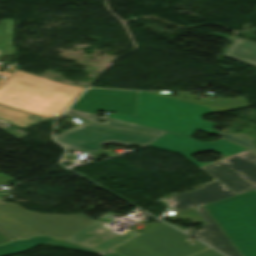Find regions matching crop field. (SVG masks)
<instances>
[{
    "mask_svg": "<svg viewBox=\"0 0 256 256\" xmlns=\"http://www.w3.org/2000/svg\"><path fill=\"white\" fill-rule=\"evenodd\" d=\"M101 256H121V255H119L118 253H116V252H114V251H112V250H110L109 252H107L106 254L105 253H102V254H100Z\"/></svg>",
    "mask_w": 256,
    "mask_h": 256,
    "instance_id": "20",
    "label": "crop field"
},
{
    "mask_svg": "<svg viewBox=\"0 0 256 256\" xmlns=\"http://www.w3.org/2000/svg\"><path fill=\"white\" fill-rule=\"evenodd\" d=\"M63 115L82 117V118L90 121L91 123H94L97 125L118 128V129L131 131V132L144 134V135L160 137L164 133H166L164 131H160V130H156V129H152V128H148V127H143V126H139V125H135V124H130V123H126V122H122V121H118V120H114V119H110V118H106V117L99 118L94 114L79 112V111H75V110H71V109H68ZM96 119H101V120L105 121V123L100 124V123L96 122Z\"/></svg>",
    "mask_w": 256,
    "mask_h": 256,
    "instance_id": "13",
    "label": "crop field"
},
{
    "mask_svg": "<svg viewBox=\"0 0 256 256\" xmlns=\"http://www.w3.org/2000/svg\"><path fill=\"white\" fill-rule=\"evenodd\" d=\"M205 207L243 256H256V190Z\"/></svg>",
    "mask_w": 256,
    "mask_h": 256,
    "instance_id": "4",
    "label": "crop field"
},
{
    "mask_svg": "<svg viewBox=\"0 0 256 256\" xmlns=\"http://www.w3.org/2000/svg\"><path fill=\"white\" fill-rule=\"evenodd\" d=\"M233 195L236 194L221 182L216 180L203 186L200 189L190 192H182L169 198L162 199V201L167 206L175 210L173 213H176Z\"/></svg>",
    "mask_w": 256,
    "mask_h": 256,
    "instance_id": "10",
    "label": "crop field"
},
{
    "mask_svg": "<svg viewBox=\"0 0 256 256\" xmlns=\"http://www.w3.org/2000/svg\"><path fill=\"white\" fill-rule=\"evenodd\" d=\"M203 169L237 194L256 189V156L249 151Z\"/></svg>",
    "mask_w": 256,
    "mask_h": 256,
    "instance_id": "7",
    "label": "crop field"
},
{
    "mask_svg": "<svg viewBox=\"0 0 256 256\" xmlns=\"http://www.w3.org/2000/svg\"><path fill=\"white\" fill-rule=\"evenodd\" d=\"M211 36H215V37H221V38H227L230 39L229 36H225V35H220V34H216V33H210Z\"/></svg>",
    "mask_w": 256,
    "mask_h": 256,
    "instance_id": "21",
    "label": "crop field"
},
{
    "mask_svg": "<svg viewBox=\"0 0 256 256\" xmlns=\"http://www.w3.org/2000/svg\"><path fill=\"white\" fill-rule=\"evenodd\" d=\"M195 209L206 223L202 225L204 229L202 231H194L192 229L185 231L227 256H241L204 207L200 206Z\"/></svg>",
    "mask_w": 256,
    "mask_h": 256,
    "instance_id": "11",
    "label": "crop field"
},
{
    "mask_svg": "<svg viewBox=\"0 0 256 256\" xmlns=\"http://www.w3.org/2000/svg\"><path fill=\"white\" fill-rule=\"evenodd\" d=\"M31 116H36L38 119H32ZM0 120L7 121L9 125L26 128L48 119L0 105Z\"/></svg>",
    "mask_w": 256,
    "mask_h": 256,
    "instance_id": "15",
    "label": "crop field"
},
{
    "mask_svg": "<svg viewBox=\"0 0 256 256\" xmlns=\"http://www.w3.org/2000/svg\"><path fill=\"white\" fill-rule=\"evenodd\" d=\"M149 147L179 153L198 167L208 163H199L189 155L205 151H214L228 156L246 150L223 139L215 142H199L189 137L171 133H167L160 137L150 144Z\"/></svg>",
    "mask_w": 256,
    "mask_h": 256,
    "instance_id": "9",
    "label": "crop field"
},
{
    "mask_svg": "<svg viewBox=\"0 0 256 256\" xmlns=\"http://www.w3.org/2000/svg\"><path fill=\"white\" fill-rule=\"evenodd\" d=\"M85 88L16 70L0 85V104L50 118Z\"/></svg>",
    "mask_w": 256,
    "mask_h": 256,
    "instance_id": "3",
    "label": "crop field"
},
{
    "mask_svg": "<svg viewBox=\"0 0 256 256\" xmlns=\"http://www.w3.org/2000/svg\"><path fill=\"white\" fill-rule=\"evenodd\" d=\"M218 136L228 139L244 148L252 150L256 153V148L252 145L253 139L243 135V134H227V133H219Z\"/></svg>",
    "mask_w": 256,
    "mask_h": 256,
    "instance_id": "18",
    "label": "crop field"
},
{
    "mask_svg": "<svg viewBox=\"0 0 256 256\" xmlns=\"http://www.w3.org/2000/svg\"><path fill=\"white\" fill-rule=\"evenodd\" d=\"M170 224V223H169ZM172 225V224H171ZM173 226H175V227H177V228H179V229H181V230H185L184 228H182V227H180V226H176V225H173Z\"/></svg>",
    "mask_w": 256,
    "mask_h": 256,
    "instance_id": "22",
    "label": "crop field"
},
{
    "mask_svg": "<svg viewBox=\"0 0 256 256\" xmlns=\"http://www.w3.org/2000/svg\"><path fill=\"white\" fill-rule=\"evenodd\" d=\"M180 93L175 98L168 95L169 92H139L136 117L120 114L106 117L188 136H193L196 129L216 135L219 131L212 129L215 123L202 120V115L251 107L243 97L215 98L213 101L201 103L196 100L195 95ZM184 97L189 100H183ZM172 118L175 120L172 121Z\"/></svg>",
    "mask_w": 256,
    "mask_h": 256,
    "instance_id": "2",
    "label": "crop field"
},
{
    "mask_svg": "<svg viewBox=\"0 0 256 256\" xmlns=\"http://www.w3.org/2000/svg\"><path fill=\"white\" fill-rule=\"evenodd\" d=\"M41 244H47L51 246L81 251V252L95 254V255L102 253L84 246H80L77 244H73V243H69V242H65V241H61V240H57L49 237H33L28 241H17L12 244L0 246V256L21 253Z\"/></svg>",
    "mask_w": 256,
    "mask_h": 256,
    "instance_id": "12",
    "label": "crop field"
},
{
    "mask_svg": "<svg viewBox=\"0 0 256 256\" xmlns=\"http://www.w3.org/2000/svg\"><path fill=\"white\" fill-rule=\"evenodd\" d=\"M137 92L108 89L87 90L71 109L97 114L99 111L134 115Z\"/></svg>",
    "mask_w": 256,
    "mask_h": 256,
    "instance_id": "8",
    "label": "crop field"
},
{
    "mask_svg": "<svg viewBox=\"0 0 256 256\" xmlns=\"http://www.w3.org/2000/svg\"><path fill=\"white\" fill-rule=\"evenodd\" d=\"M223 57L256 67V43L234 37Z\"/></svg>",
    "mask_w": 256,
    "mask_h": 256,
    "instance_id": "14",
    "label": "crop field"
},
{
    "mask_svg": "<svg viewBox=\"0 0 256 256\" xmlns=\"http://www.w3.org/2000/svg\"><path fill=\"white\" fill-rule=\"evenodd\" d=\"M0 57L15 55V47H11L12 19L0 20ZM3 78H0V82Z\"/></svg>",
    "mask_w": 256,
    "mask_h": 256,
    "instance_id": "16",
    "label": "crop field"
},
{
    "mask_svg": "<svg viewBox=\"0 0 256 256\" xmlns=\"http://www.w3.org/2000/svg\"><path fill=\"white\" fill-rule=\"evenodd\" d=\"M170 222L177 221L181 218L187 219L193 223L194 226L203 224V220L200 218V216L197 214V212L194 210V208L182 211L173 215H169L166 217H162Z\"/></svg>",
    "mask_w": 256,
    "mask_h": 256,
    "instance_id": "17",
    "label": "crop field"
},
{
    "mask_svg": "<svg viewBox=\"0 0 256 256\" xmlns=\"http://www.w3.org/2000/svg\"><path fill=\"white\" fill-rule=\"evenodd\" d=\"M55 139L67 149H87L91 152L101 150L103 143L135 145L145 148L156 140V138L99 127L91 123L61 134Z\"/></svg>",
    "mask_w": 256,
    "mask_h": 256,
    "instance_id": "6",
    "label": "crop field"
},
{
    "mask_svg": "<svg viewBox=\"0 0 256 256\" xmlns=\"http://www.w3.org/2000/svg\"><path fill=\"white\" fill-rule=\"evenodd\" d=\"M97 221L100 222L101 224L105 225V224H107V223L113 221V219H109V218L103 216V217H101V218H100L99 220H97Z\"/></svg>",
    "mask_w": 256,
    "mask_h": 256,
    "instance_id": "19",
    "label": "crop field"
},
{
    "mask_svg": "<svg viewBox=\"0 0 256 256\" xmlns=\"http://www.w3.org/2000/svg\"><path fill=\"white\" fill-rule=\"evenodd\" d=\"M140 236L125 242L113 250L125 256H190L205 248L197 242L184 240L188 235L165 224H154L139 232ZM193 256H223L209 248Z\"/></svg>",
    "mask_w": 256,
    "mask_h": 256,
    "instance_id": "5",
    "label": "crop field"
},
{
    "mask_svg": "<svg viewBox=\"0 0 256 256\" xmlns=\"http://www.w3.org/2000/svg\"><path fill=\"white\" fill-rule=\"evenodd\" d=\"M83 215H46L0 201V244L36 235H48L105 251L135 235H123Z\"/></svg>",
    "mask_w": 256,
    "mask_h": 256,
    "instance_id": "1",
    "label": "crop field"
}]
</instances>
